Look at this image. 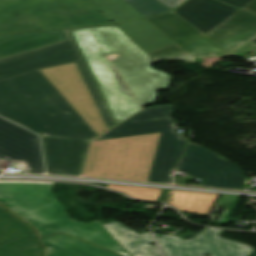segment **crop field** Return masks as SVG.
<instances>
[{
  "mask_svg": "<svg viewBox=\"0 0 256 256\" xmlns=\"http://www.w3.org/2000/svg\"><path fill=\"white\" fill-rule=\"evenodd\" d=\"M68 27L113 24L88 0H54Z\"/></svg>",
  "mask_w": 256,
  "mask_h": 256,
  "instance_id": "15",
  "label": "crop field"
},
{
  "mask_svg": "<svg viewBox=\"0 0 256 256\" xmlns=\"http://www.w3.org/2000/svg\"><path fill=\"white\" fill-rule=\"evenodd\" d=\"M70 30L117 123L141 108L106 55L120 56L112 62L142 108L155 101L157 92L171 83L172 78L153 69L150 65L155 61L116 26Z\"/></svg>",
  "mask_w": 256,
  "mask_h": 256,
  "instance_id": "2",
  "label": "crop field"
},
{
  "mask_svg": "<svg viewBox=\"0 0 256 256\" xmlns=\"http://www.w3.org/2000/svg\"><path fill=\"white\" fill-rule=\"evenodd\" d=\"M240 196H232V195H219L218 201L216 205L225 206V211L220 215L217 223L226 225L238 199Z\"/></svg>",
  "mask_w": 256,
  "mask_h": 256,
  "instance_id": "24",
  "label": "crop field"
},
{
  "mask_svg": "<svg viewBox=\"0 0 256 256\" xmlns=\"http://www.w3.org/2000/svg\"><path fill=\"white\" fill-rule=\"evenodd\" d=\"M143 17L169 11L155 0H123Z\"/></svg>",
  "mask_w": 256,
  "mask_h": 256,
  "instance_id": "23",
  "label": "crop field"
},
{
  "mask_svg": "<svg viewBox=\"0 0 256 256\" xmlns=\"http://www.w3.org/2000/svg\"><path fill=\"white\" fill-rule=\"evenodd\" d=\"M223 230L206 228L191 240L156 236L165 256H247L251 247L219 237Z\"/></svg>",
  "mask_w": 256,
  "mask_h": 256,
  "instance_id": "10",
  "label": "crop field"
},
{
  "mask_svg": "<svg viewBox=\"0 0 256 256\" xmlns=\"http://www.w3.org/2000/svg\"><path fill=\"white\" fill-rule=\"evenodd\" d=\"M3 161H17L29 173H43L38 136L0 118V171Z\"/></svg>",
  "mask_w": 256,
  "mask_h": 256,
  "instance_id": "11",
  "label": "crop field"
},
{
  "mask_svg": "<svg viewBox=\"0 0 256 256\" xmlns=\"http://www.w3.org/2000/svg\"><path fill=\"white\" fill-rule=\"evenodd\" d=\"M172 106L144 109L98 139L161 132L147 181L171 183V174L180 159L187 139L174 132L178 129Z\"/></svg>",
  "mask_w": 256,
  "mask_h": 256,
  "instance_id": "6",
  "label": "crop field"
},
{
  "mask_svg": "<svg viewBox=\"0 0 256 256\" xmlns=\"http://www.w3.org/2000/svg\"><path fill=\"white\" fill-rule=\"evenodd\" d=\"M66 39L63 30L2 35L0 36V58Z\"/></svg>",
  "mask_w": 256,
  "mask_h": 256,
  "instance_id": "14",
  "label": "crop field"
},
{
  "mask_svg": "<svg viewBox=\"0 0 256 256\" xmlns=\"http://www.w3.org/2000/svg\"><path fill=\"white\" fill-rule=\"evenodd\" d=\"M89 1L114 24L142 17L122 0Z\"/></svg>",
  "mask_w": 256,
  "mask_h": 256,
  "instance_id": "20",
  "label": "crop field"
},
{
  "mask_svg": "<svg viewBox=\"0 0 256 256\" xmlns=\"http://www.w3.org/2000/svg\"><path fill=\"white\" fill-rule=\"evenodd\" d=\"M65 32L69 40L0 59V116L45 135L47 173L78 176L97 135L38 69L74 61L107 128L115 123L69 30Z\"/></svg>",
  "mask_w": 256,
  "mask_h": 256,
  "instance_id": "1",
  "label": "crop field"
},
{
  "mask_svg": "<svg viewBox=\"0 0 256 256\" xmlns=\"http://www.w3.org/2000/svg\"><path fill=\"white\" fill-rule=\"evenodd\" d=\"M221 1L227 2L233 6L241 8L251 0H221Z\"/></svg>",
  "mask_w": 256,
  "mask_h": 256,
  "instance_id": "27",
  "label": "crop field"
},
{
  "mask_svg": "<svg viewBox=\"0 0 256 256\" xmlns=\"http://www.w3.org/2000/svg\"><path fill=\"white\" fill-rule=\"evenodd\" d=\"M45 256H77L53 247H45Z\"/></svg>",
  "mask_w": 256,
  "mask_h": 256,
  "instance_id": "25",
  "label": "crop field"
},
{
  "mask_svg": "<svg viewBox=\"0 0 256 256\" xmlns=\"http://www.w3.org/2000/svg\"><path fill=\"white\" fill-rule=\"evenodd\" d=\"M177 170L189 172L203 180L201 186L242 189L245 177L233 163L199 145L189 143Z\"/></svg>",
  "mask_w": 256,
  "mask_h": 256,
  "instance_id": "8",
  "label": "crop field"
},
{
  "mask_svg": "<svg viewBox=\"0 0 256 256\" xmlns=\"http://www.w3.org/2000/svg\"><path fill=\"white\" fill-rule=\"evenodd\" d=\"M237 10L216 0H189L174 12L206 34Z\"/></svg>",
  "mask_w": 256,
  "mask_h": 256,
  "instance_id": "13",
  "label": "crop field"
},
{
  "mask_svg": "<svg viewBox=\"0 0 256 256\" xmlns=\"http://www.w3.org/2000/svg\"><path fill=\"white\" fill-rule=\"evenodd\" d=\"M147 20L192 58L229 54L256 36V16L241 10L206 35L174 12Z\"/></svg>",
  "mask_w": 256,
  "mask_h": 256,
  "instance_id": "4",
  "label": "crop field"
},
{
  "mask_svg": "<svg viewBox=\"0 0 256 256\" xmlns=\"http://www.w3.org/2000/svg\"><path fill=\"white\" fill-rule=\"evenodd\" d=\"M19 219L0 207V256H40V249L29 231Z\"/></svg>",
  "mask_w": 256,
  "mask_h": 256,
  "instance_id": "12",
  "label": "crop field"
},
{
  "mask_svg": "<svg viewBox=\"0 0 256 256\" xmlns=\"http://www.w3.org/2000/svg\"><path fill=\"white\" fill-rule=\"evenodd\" d=\"M51 182L0 181V203L30 225L38 236L64 233L104 246L120 255L131 256L98 222H74L53 197Z\"/></svg>",
  "mask_w": 256,
  "mask_h": 256,
  "instance_id": "3",
  "label": "crop field"
},
{
  "mask_svg": "<svg viewBox=\"0 0 256 256\" xmlns=\"http://www.w3.org/2000/svg\"><path fill=\"white\" fill-rule=\"evenodd\" d=\"M147 54L155 61L181 58L188 63L195 61L175 44L151 51Z\"/></svg>",
  "mask_w": 256,
  "mask_h": 256,
  "instance_id": "22",
  "label": "crop field"
},
{
  "mask_svg": "<svg viewBox=\"0 0 256 256\" xmlns=\"http://www.w3.org/2000/svg\"><path fill=\"white\" fill-rule=\"evenodd\" d=\"M161 1L163 4H165L167 7H169L170 9L175 8L177 5H179L181 2H183L184 0H159ZM186 1V0H185ZM182 4V3H181Z\"/></svg>",
  "mask_w": 256,
  "mask_h": 256,
  "instance_id": "26",
  "label": "crop field"
},
{
  "mask_svg": "<svg viewBox=\"0 0 256 256\" xmlns=\"http://www.w3.org/2000/svg\"><path fill=\"white\" fill-rule=\"evenodd\" d=\"M109 188H114L116 190L122 191L132 197L139 199H149L162 201L164 197V190L153 189V188H137L131 186H121V185H108Z\"/></svg>",
  "mask_w": 256,
  "mask_h": 256,
  "instance_id": "21",
  "label": "crop field"
},
{
  "mask_svg": "<svg viewBox=\"0 0 256 256\" xmlns=\"http://www.w3.org/2000/svg\"><path fill=\"white\" fill-rule=\"evenodd\" d=\"M145 53L173 42L145 19L117 25Z\"/></svg>",
  "mask_w": 256,
  "mask_h": 256,
  "instance_id": "17",
  "label": "crop field"
},
{
  "mask_svg": "<svg viewBox=\"0 0 256 256\" xmlns=\"http://www.w3.org/2000/svg\"><path fill=\"white\" fill-rule=\"evenodd\" d=\"M242 9L256 13V0H252L247 5H245Z\"/></svg>",
  "mask_w": 256,
  "mask_h": 256,
  "instance_id": "28",
  "label": "crop field"
},
{
  "mask_svg": "<svg viewBox=\"0 0 256 256\" xmlns=\"http://www.w3.org/2000/svg\"><path fill=\"white\" fill-rule=\"evenodd\" d=\"M64 27L53 0H0V34Z\"/></svg>",
  "mask_w": 256,
  "mask_h": 256,
  "instance_id": "7",
  "label": "crop field"
},
{
  "mask_svg": "<svg viewBox=\"0 0 256 256\" xmlns=\"http://www.w3.org/2000/svg\"><path fill=\"white\" fill-rule=\"evenodd\" d=\"M98 134L107 130L74 63L40 70Z\"/></svg>",
  "mask_w": 256,
  "mask_h": 256,
  "instance_id": "9",
  "label": "crop field"
},
{
  "mask_svg": "<svg viewBox=\"0 0 256 256\" xmlns=\"http://www.w3.org/2000/svg\"><path fill=\"white\" fill-rule=\"evenodd\" d=\"M217 196L218 194L170 191L166 202L183 212L210 213Z\"/></svg>",
  "mask_w": 256,
  "mask_h": 256,
  "instance_id": "18",
  "label": "crop field"
},
{
  "mask_svg": "<svg viewBox=\"0 0 256 256\" xmlns=\"http://www.w3.org/2000/svg\"><path fill=\"white\" fill-rule=\"evenodd\" d=\"M249 42L256 43V37H254L253 39H251Z\"/></svg>",
  "mask_w": 256,
  "mask_h": 256,
  "instance_id": "29",
  "label": "crop field"
},
{
  "mask_svg": "<svg viewBox=\"0 0 256 256\" xmlns=\"http://www.w3.org/2000/svg\"><path fill=\"white\" fill-rule=\"evenodd\" d=\"M42 243L81 256H118L62 234L40 238Z\"/></svg>",
  "mask_w": 256,
  "mask_h": 256,
  "instance_id": "19",
  "label": "crop field"
},
{
  "mask_svg": "<svg viewBox=\"0 0 256 256\" xmlns=\"http://www.w3.org/2000/svg\"><path fill=\"white\" fill-rule=\"evenodd\" d=\"M159 136L93 141L84 175L146 181Z\"/></svg>",
  "mask_w": 256,
  "mask_h": 256,
  "instance_id": "5",
  "label": "crop field"
},
{
  "mask_svg": "<svg viewBox=\"0 0 256 256\" xmlns=\"http://www.w3.org/2000/svg\"><path fill=\"white\" fill-rule=\"evenodd\" d=\"M132 256H160L150 233L136 234L132 229L113 221L103 225Z\"/></svg>",
  "mask_w": 256,
  "mask_h": 256,
  "instance_id": "16",
  "label": "crop field"
}]
</instances>
